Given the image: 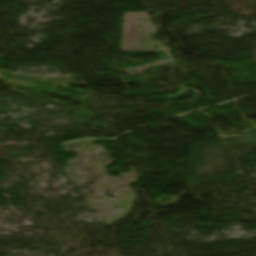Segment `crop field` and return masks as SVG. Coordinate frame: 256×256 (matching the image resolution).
<instances>
[{"label":"crop field","instance_id":"crop-field-1","mask_svg":"<svg viewBox=\"0 0 256 256\" xmlns=\"http://www.w3.org/2000/svg\"><path fill=\"white\" fill-rule=\"evenodd\" d=\"M0 82H1V78H0Z\"/></svg>","mask_w":256,"mask_h":256}]
</instances>
